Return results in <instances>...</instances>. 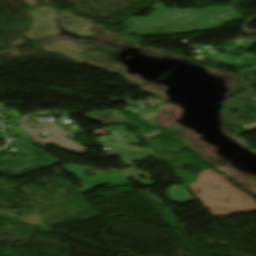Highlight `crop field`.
I'll use <instances>...</instances> for the list:
<instances>
[{
	"instance_id": "obj_1",
	"label": "crop field",
	"mask_w": 256,
	"mask_h": 256,
	"mask_svg": "<svg viewBox=\"0 0 256 256\" xmlns=\"http://www.w3.org/2000/svg\"><path fill=\"white\" fill-rule=\"evenodd\" d=\"M123 138H124V137H123ZM131 140H133V141H132V142H126V141H127L126 138L121 139V137H112V140H107V141H105V142L103 143V145H105V146H107V147H114V148L117 149V150H118V149L122 150V151H123V152H121L122 155L116 154V153H119V152H117V151H115V150H113V151H112L111 153H109L108 155H109V156H114V155H119V156H121V157H122V160H123V162H124V164L129 165V166H134V165L130 164V162H132V161H134V160H137V161H144V159H145L146 156H152V157L155 158V160L160 159L159 156H158V155L155 153V151H153V150H150L151 152H149V150L137 149V148H133V146L130 148L128 145H126L127 143L139 144V142H137L136 140H134V139H131ZM110 141H114V143H111ZM96 142L101 143V142H99V141H96ZM116 142L125 143V145H123L125 149L123 150L122 147H121V145H120V144H116ZM101 144H102V143H101ZM140 150H141L142 152H140ZM108 151H109V150H108ZM125 153H129L128 156H127ZM132 153H142L143 156H142V157H141V156H135V158H131V156H134ZM137 157H139V159H138ZM125 160L128 161V164L125 162Z\"/></svg>"
},
{
	"instance_id": "obj_2",
	"label": "crop field",
	"mask_w": 256,
	"mask_h": 256,
	"mask_svg": "<svg viewBox=\"0 0 256 256\" xmlns=\"http://www.w3.org/2000/svg\"><path fill=\"white\" fill-rule=\"evenodd\" d=\"M67 135L69 134L61 130H53L52 138L47 140L45 143L55 144L60 149L72 151L77 154H82L87 150V148L65 139Z\"/></svg>"
},
{
	"instance_id": "obj_3",
	"label": "crop field",
	"mask_w": 256,
	"mask_h": 256,
	"mask_svg": "<svg viewBox=\"0 0 256 256\" xmlns=\"http://www.w3.org/2000/svg\"><path fill=\"white\" fill-rule=\"evenodd\" d=\"M110 112L117 116V118H115L114 116H110ZM88 117L94 121L102 123L103 125H118L130 123L129 121V123L127 122V120L121 115L119 111L92 112L88 114Z\"/></svg>"
},
{
	"instance_id": "obj_4",
	"label": "crop field",
	"mask_w": 256,
	"mask_h": 256,
	"mask_svg": "<svg viewBox=\"0 0 256 256\" xmlns=\"http://www.w3.org/2000/svg\"><path fill=\"white\" fill-rule=\"evenodd\" d=\"M30 116H23L21 119H19L17 122L23 127V129L26 131L27 134L35 132V131H39V130H34V129H30L32 126L38 127L42 129H50V128H55L54 124L44 121V122H40L37 119L33 118L35 121H37L40 124H28L27 121L29 119ZM29 126V127H27Z\"/></svg>"
},
{
	"instance_id": "obj_5",
	"label": "crop field",
	"mask_w": 256,
	"mask_h": 256,
	"mask_svg": "<svg viewBox=\"0 0 256 256\" xmlns=\"http://www.w3.org/2000/svg\"><path fill=\"white\" fill-rule=\"evenodd\" d=\"M186 189L182 187H170L167 190L168 195L171 197L173 202L184 203L185 201H191L187 192H184ZM170 193H173L172 195Z\"/></svg>"
},
{
	"instance_id": "obj_6",
	"label": "crop field",
	"mask_w": 256,
	"mask_h": 256,
	"mask_svg": "<svg viewBox=\"0 0 256 256\" xmlns=\"http://www.w3.org/2000/svg\"><path fill=\"white\" fill-rule=\"evenodd\" d=\"M131 172H133V173H130L129 175H126L127 174L126 172H122V174L126 177V179L133 177L134 179H136L138 182H140L141 184H143L145 186H151V185L155 184L154 182H152L149 179H147L145 181H142V180L137 178V176H140V175H143V174H141V173H139L135 170H132Z\"/></svg>"
},
{
	"instance_id": "obj_7",
	"label": "crop field",
	"mask_w": 256,
	"mask_h": 256,
	"mask_svg": "<svg viewBox=\"0 0 256 256\" xmlns=\"http://www.w3.org/2000/svg\"><path fill=\"white\" fill-rule=\"evenodd\" d=\"M56 112H62L64 114H66L65 111H62V110H57V111H43V112H34L36 115H39V116H42V115H45V114H53V113H56Z\"/></svg>"
},
{
	"instance_id": "obj_8",
	"label": "crop field",
	"mask_w": 256,
	"mask_h": 256,
	"mask_svg": "<svg viewBox=\"0 0 256 256\" xmlns=\"http://www.w3.org/2000/svg\"><path fill=\"white\" fill-rule=\"evenodd\" d=\"M14 133H16L17 135L21 136V135H25V131L22 129V127H15V128H12Z\"/></svg>"
},
{
	"instance_id": "obj_9",
	"label": "crop field",
	"mask_w": 256,
	"mask_h": 256,
	"mask_svg": "<svg viewBox=\"0 0 256 256\" xmlns=\"http://www.w3.org/2000/svg\"><path fill=\"white\" fill-rule=\"evenodd\" d=\"M35 142H37V143H44L46 140H40V139H38V134H36V135H31L30 136Z\"/></svg>"
},
{
	"instance_id": "obj_10",
	"label": "crop field",
	"mask_w": 256,
	"mask_h": 256,
	"mask_svg": "<svg viewBox=\"0 0 256 256\" xmlns=\"http://www.w3.org/2000/svg\"><path fill=\"white\" fill-rule=\"evenodd\" d=\"M8 114H12L15 119H19L21 117V115L19 113H11V112H9Z\"/></svg>"
},
{
	"instance_id": "obj_11",
	"label": "crop field",
	"mask_w": 256,
	"mask_h": 256,
	"mask_svg": "<svg viewBox=\"0 0 256 256\" xmlns=\"http://www.w3.org/2000/svg\"><path fill=\"white\" fill-rule=\"evenodd\" d=\"M119 132H121V133H123V134H125V135H128V136H130V137H134V136H138V135H140V134H137V135L132 136V135H130V134H129V133H127V132H123L122 130H119Z\"/></svg>"
}]
</instances>
